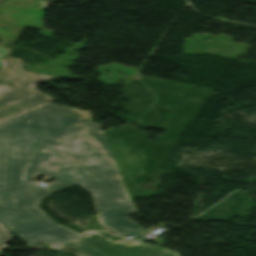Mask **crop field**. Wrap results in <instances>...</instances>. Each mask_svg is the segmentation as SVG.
Returning <instances> with one entry per match:
<instances>
[{
  "mask_svg": "<svg viewBox=\"0 0 256 256\" xmlns=\"http://www.w3.org/2000/svg\"><path fill=\"white\" fill-rule=\"evenodd\" d=\"M38 173L57 182L14 200L0 199V222L27 246L72 239L37 209L43 197L70 185L91 192L98 213L131 203L97 122L37 109L0 125V197L41 187L30 183V176Z\"/></svg>",
  "mask_w": 256,
  "mask_h": 256,
  "instance_id": "1",
  "label": "crop field"
},
{
  "mask_svg": "<svg viewBox=\"0 0 256 256\" xmlns=\"http://www.w3.org/2000/svg\"><path fill=\"white\" fill-rule=\"evenodd\" d=\"M0 68V124L37 108L91 120L90 112L49 104L54 101L33 87L51 77L25 72L21 61L6 57Z\"/></svg>",
  "mask_w": 256,
  "mask_h": 256,
  "instance_id": "2",
  "label": "crop field"
},
{
  "mask_svg": "<svg viewBox=\"0 0 256 256\" xmlns=\"http://www.w3.org/2000/svg\"><path fill=\"white\" fill-rule=\"evenodd\" d=\"M56 248L70 252L78 250L86 256H178L175 253L147 244H137L125 248L109 242L97 234L82 235L79 239L64 243Z\"/></svg>",
  "mask_w": 256,
  "mask_h": 256,
  "instance_id": "3",
  "label": "crop field"
},
{
  "mask_svg": "<svg viewBox=\"0 0 256 256\" xmlns=\"http://www.w3.org/2000/svg\"><path fill=\"white\" fill-rule=\"evenodd\" d=\"M132 205L123 208L100 213L99 219L103 228L114 234L127 237L134 235L138 240L147 239L143 230L127 219V216L134 213ZM141 230V232H139Z\"/></svg>",
  "mask_w": 256,
  "mask_h": 256,
  "instance_id": "4",
  "label": "crop field"
},
{
  "mask_svg": "<svg viewBox=\"0 0 256 256\" xmlns=\"http://www.w3.org/2000/svg\"><path fill=\"white\" fill-rule=\"evenodd\" d=\"M12 236L9 233V230L0 223V248L6 249L8 248L6 242L11 240Z\"/></svg>",
  "mask_w": 256,
  "mask_h": 256,
  "instance_id": "5",
  "label": "crop field"
},
{
  "mask_svg": "<svg viewBox=\"0 0 256 256\" xmlns=\"http://www.w3.org/2000/svg\"><path fill=\"white\" fill-rule=\"evenodd\" d=\"M86 233H94V232H86ZM102 236V235H101ZM104 237V236H103ZM117 244L123 245L125 247H128L130 245H134L140 242H133V241H127V240H123V241H119V242H115Z\"/></svg>",
  "mask_w": 256,
  "mask_h": 256,
  "instance_id": "6",
  "label": "crop field"
},
{
  "mask_svg": "<svg viewBox=\"0 0 256 256\" xmlns=\"http://www.w3.org/2000/svg\"><path fill=\"white\" fill-rule=\"evenodd\" d=\"M8 49L7 48H1L0 47V63L3 60L5 54L7 53Z\"/></svg>",
  "mask_w": 256,
  "mask_h": 256,
  "instance_id": "7",
  "label": "crop field"
},
{
  "mask_svg": "<svg viewBox=\"0 0 256 256\" xmlns=\"http://www.w3.org/2000/svg\"><path fill=\"white\" fill-rule=\"evenodd\" d=\"M60 227V226H59ZM60 228H62V227H60ZM68 235H70L72 238H74V237H76V236H78L79 234H77V233H75V232H72V231H70V230H67V229H65V228H62Z\"/></svg>",
  "mask_w": 256,
  "mask_h": 256,
  "instance_id": "8",
  "label": "crop field"
},
{
  "mask_svg": "<svg viewBox=\"0 0 256 256\" xmlns=\"http://www.w3.org/2000/svg\"><path fill=\"white\" fill-rule=\"evenodd\" d=\"M73 253L81 254V253H80V252H78V251H76V252H73ZM81 255H82V254H81ZM81 255H80V256H81ZM83 256H84V255H83Z\"/></svg>",
  "mask_w": 256,
  "mask_h": 256,
  "instance_id": "9",
  "label": "crop field"
},
{
  "mask_svg": "<svg viewBox=\"0 0 256 256\" xmlns=\"http://www.w3.org/2000/svg\"><path fill=\"white\" fill-rule=\"evenodd\" d=\"M0 256H2V252L0 251Z\"/></svg>",
  "mask_w": 256,
  "mask_h": 256,
  "instance_id": "10",
  "label": "crop field"
},
{
  "mask_svg": "<svg viewBox=\"0 0 256 256\" xmlns=\"http://www.w3.org/2000/svg\"><path fill=\"white\" fill-rule=\"evenodd\" d=\"M41 142V141H40ZM40 144V143H39ZM39 146V145H38ZM38 148V147H37ZM37 150V149H36ZM36 152V151H35ZM35 154V153H34ZM34 156V155H33ZM33 158V157H32Z\"/></svg>",
  "mask_w": 256,
  "mask_h": 256,
  "instance_id": "11",
  "label": "crop field"
},
{
  "mask_svg": "<svg viewBox=\"0 0 256 256\" xmlns=\"http://www.w3.org/2000/svg\"><path fill=\"white\" fill-rule=\"evenodd\" d=\"M2 0H0V2H1Z\"/></svg>",
  "mask_w": 256,
  "mask_h": 256,
  "instance_id": "12",
  "label": "crop field"
}]
</instances>
